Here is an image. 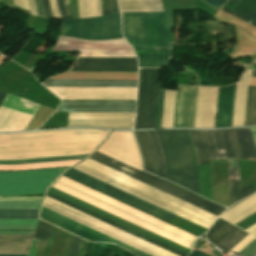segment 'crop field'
Instances as JSON below:
<instances>
[{"label":"crop field","instance_id":"crop-field-1","mask_svg":"<svg viewBox=\"0 0 256 256\" xmlns=\"http://www.w3.org/2000/svg\"><path fill=\"white\" fill-rule=\"evenodd\" d=\"M171 12L123 13L125 39L134 48L139 67L167 66Z\"/></svg>","mask_w":256,"mask_h":256},{"label":"crop field","instance_id":"crop-field-2","mask_svg":"<svg viewBox=\"0 0 256 256\" xmlns=\"http://www.w3.org/2000/svg\"><path fill=\"white\" fill-rule=\"evenodd\" d=\"M74 168L159 206L206 229L217 216L153 188L90 158Z\"/></svg>","mask_w":256,"mask_h":256},{"label":"crop field","instance_id":"crop-field-3","mask_svg":"<svg viewBox=\"0 0 256 256\" xmlns=\"http://www.w3.org/2000/svg\"><path fill=\"white\" fill-rule=\"evenodd\" d=\"M198 86L178 85L176 91L166 90L162 128H194ZM218 87H200L195 128H214Z\"/></svg>","mask_w":256,"mask_h":256},{"label":"crop field","instance_id":"crop-field-4","mask_svg":"<svg viewBox=\"0 0 256 256\" xmlns=\"http://www.w3.org/2000/svg\"><path fill=\"white\" fill-rule=\"evenodd\" d=\"M46 195L51 197V198H53V199H55V200H58V201H60V202H62L64 204H66V205H69V206H71V207H73V208H75L77 210H80V211H82V212H84L86 214H89V215H91V216H93V217H95L97 219H100V220H102V221H104V222H106L108 224H111V225H113V226H115V227H117L119 229H122V230H124V231H126V232H128L130 234H133V235H135V236H137V237H139L141 239H144V240H146V241H148L150 243H153V244H155V245H157V246H159L161 248H164V249H166V250H168V251H170L172 253H175V254H177L179 256H187V254H185V253H183V252H181L179 250H176V249H174V248H172V247H170L168 245H165V244H163V243H161V242H159L157 240H154V239H152V238H150V237H148L146 235H143V234H141V233H139V232H137L135 230H132V229H130V228L124 226V225H121V224H119V223H117L115 221H112V220H110V219H108V218H106L104 216H101V215H99V214H97V213H95L93 211H90V210H88V209H86V208H84L82 206H79V205H77V204H75V203H73L71 201H68V200H66V199H64V198H62L60 196H57V195H55V194H53V193H51L49 191L47 192ZM47 196L45 197V200H44L43 203L48 205V206H50V207H52V208H55V209H57V210H59V211H61L63 213H66V214H68V215H70V216H72L74 218H77V219H79V220H81V221H83V222H85L87 224H90V225H92V226H94V227H96L98 229H101V230H103V231H105V232H107L109 234H112V235H114V236H116V237H118L120 239H123V240H125V241H127V242H129L131 244H134V245H136V246H138V247H140L142 249H145V250H147V251H149V252H151V253H153L155 255H158V256H177V255L172 254V253H170V252H168V251H166L164 249H161V248H159V247H157V246H155L153 244H150V243H148V242H146L144 240H141V239H139V238H137V237H135L133 235H130V234H128V233H126V232H124L122 230H119V229H117V228H115V227H113L111 225H108V224H106V223H104V222H102L100 220H97V219H95V218H93V217H91L89 215H86V214H84V213H82L80 211H77V210L69 207V206H66V205H64V204H62V203H60L58 201H55V200H53V199H51V198H49ZM44 204H43L44 207H46V208H48V209H50L52 211H55V212H57V213H59L61 215H64V216H66V217H68V218H70L72 220H75V221H77V222H79V223H81L83 225H86V226H88V227H90L92 229H95V230H97V231H99V232H101L103 234H106V235H108V236H110V237H112L114 239H117V240H119V241H121V242H123L125 244H128V245H130V246H132L134 248H137V249H139V250H141V251H143L145 253H148V254H150L152 256H155V255H153V254H151V253H149L147 251H144V250H142V249H140V248H138V247H136L134 245H131V244H129V243L123 241V240H120V239H118V238H116V237H114L112 235H109V234H107V233H105V232H103L101 230H98V229H96V228H94V227H92L90 225H87V224H85V223H83V222H81L79 220H76V219H74V218H72V217H70V216H68L66 214H63V213H61V212H59V211H57L55 209H52V208H50V207H48V206H46Z\"/></svg>","mask_w":256,"mask_h":256},{"label":"crop field","instance_id":"crop-field-5","mask_svg":"<svg viewBox=\"0 0 256 256\" xmlns=\"http://www.w3.org/2000/svg\"><path fill=\"white\" fill-rule=\"evenodd\" d=\"M156 132L165 158L166 179L198 194L196 157L188 131Z\"/></svg>","mask_w":256,"mask_h":256},{"label":"crop field","instance_id":"crop-field-6","mask_svg":"<svg viewBox=\"0 0 256 256\" xmlns=\"http://www.w3.org/2000/svg\"><path fill=\"white\" fill-rule=\"evenodd\" d=\"M210 160L256 157L250 129L203 131Z\"/></svg>","mask_w":256,"mask_h":256},{"label":"crop field","instance_id":"crop-field-7","mask_svg":"<svg viewBox=\"0 0 256 256\" xmlns=\"http://www.w3.org/2000/svg\"><path fill=\"white\" fill-rule=\"evenodd\" d=\"M61 35L89 40L123 38L120 29V14L115 13L98 18L63 21Z\"/></svg>","mask_w":256,"mask_h":256},{"label":"crop field","instance_id":"crop-field-8","mask_svg":"<svg viewBox=\"0 0 256 256\" xmlns=\"http://www.w3.org/2000/svg\"><path fill=\"white\" fill-rule=\"evenodd\" d=\"M64 169L0 172V195L43 193L47 185Z\"/></svg>","mask_w":256,"mask_h":256},{"label":"crop field","instance_id":"crop-field-9","mask_svg":"<svg viewBox=\"0 0 256 256\" xmlns=\"http://www.w3.org/2000/svg\"><path fill=\"white\" fill-rule=\"evenodd\" d=\"M90 158L98 162H101L109 167H112L120 172H123L131 177H134L142 182H145L151 186H154L162 191H165L173 196H176L184 201H187L195 206H198L206 211H209L217 216H219L224 211V209L220 207L205 202L206 200L203 201L204 199L201 200L161 180H158L144 172H141L133 167H130L122 162H119L109 156H106L98 151H96Z\"/></svg>","mask_w":256,"mask_h":256},{"label":"crop field","instance_id":"crop-field-10","mask_svg":"<svg viewBox=\"0 0 256 256\" xmlns=\"http://www.w3.org/2000/svg\"><path fill=\"white\" fill-rule=\"evenodd\" d=\"M159 69H141L135 129L154 128Z\"/></svg>","mask_w":256,"mask_h":256},{"label":"crop field","instance_id":"crop-field-11","mask_svg":"<svg viewBox=\"0 0 256 256\" xmlns=\"http://www.w3.org/2000/svg\"><path fill=\"white\" fill-rule=\"evenodd\" d=\"M64 175L73 178L81 183H84L90 187H93L99 191H102L110 196H113L119 200H122L130 205H133L139 209H142L148 213H151L159 218H162L168 222H170L175 215L162 210L152 204H149L139 198H136L126 192H123L113 186H110L100 180H97L87 174H84L74 168L70 169L68 172H66Z\"/></svg>","mask_w":256,"mask_h":256},{"label":"crop field","instance_id":"crop-field-12","mask_svg":"<svg viewBox=\"0 0 256 256\" xmlns=\"http://www.w3.org/2000/svg\"><path fill=\"white\" fill-rule=\"evenodd\" d=\"M134 113L69 112L68 127L132 129Z\"/></svg>","mask_w":256,"mask_h":256},{"label":"crop field","instance_id":"crop-field-13","mask_svg":"<svg viewBox=\"0 0 256 256\" xmlns=\"http://www.w3.org/2000/svg\"><path fill=\"white\" fill-rule=\"evenodd\" d=\"M98 151L142 171L139 152L131 132H112Z\"/></svg>","mask_w":256,"mask_h":256},{"label":"crop field","instance_id":"crop-field-14","mask_svg":"<svg viewBox=\"0 0 256 256\" xmlns=\"http://www.w3.org/2000/svg\"><path fill=\"white\" fill-rule=\"evenodd\" d=\"M61 99L135 100L136 89L47 87Z\"/></svg>","mask_w":256,"mask_h":256},{"label":"crop field","instance_id":"crop-field-15","mask_svg":"<svg viewBox=\"0 0 256 256\" xmlns=\"http://www.w3.org/2000/svg\"><path fill=\"white\" fill-rule=\"evenodd\" d=\"M40 218L51 222L57 226H60L66 230H69L75 234H78L82 237H85L91 241H98V242H108V243H114L118 246H121L127 250H130L134 253H137L141 256H150L148 254H145L137 249H134L128 245H125L117 240H114L106 235H103L95 230H92L86 226H83L75 221H72L64 216H61L55 212H52L44 207L41 209Z\"/></svg>","mask_w":256,"mask_h":256},{"label":"crop field","instance_id":"crop-field-16","mask_svg":"<svg viewBox=\"0 0 256 256\" xmlns=\"http://www.w3.org/2000/svg\"><path fill=\"white\" fill-rule=\"evenodd\" d=\"M77 70L137 71L136 57L87 56Z\"/></svg>","mask_w":256,"mask_h":256},{"label":"crop field","instance_id":"crop-field-17","mask_svg":"<svg viewBox=\"0 0 256 256\" xmlns=\"http://www.w3.org/2000/svg\"><path fill=\"white\" fill-rule=\"evenodd\" d=\"M57 111L134 112L135 102L62 101Z\"/></svg>","mask_w":256,"mask_h":256},{"label":"crop field","instance_id":"crop-field-18","mask_svg":"<svg viewBox=\"0 0 256 256\" xmlns=\"http://www.w3.org/2000/svg\"><path fill=\"white\" fill-rule=\"evenodd\" d=\"M236 228L237 227L233 226L232 224L222 219L212 229L208 231L207 239L208 241H210L211 243L217 246ZM247 235L248 233L237 228L217 247L228 252L232 247H234L239 241H241Z\"/></svg>","mask_w":256,"mask_h":256},{"label":"crop field","instance_id":"crop-field-19","mask_svg":"<svg viewBox=\"0 0 256 256\" xmlns=\"http://www.w3.org/2000/svg\"><path fill=\"white\" fill-rule=\"evenodd\" d=\"M32 232H0V234H31ZM32 235H0V251H28ZM28 252H0V256H27Z\"/></svg>","mask_w":256,"mask_h":256},{"label":"crop field","instance_id":"crop-field-20","mask_svg":"<svg viewBox=\"0 0 256 256\" xmlns=\"http://www.w3.org/2000/svg\"><path fill=\"white\" fill-rule=\"evenodd\" d=\"M236 84L221 87L216 128L231 127Z\"/></svg>","mask_w":256,"mask_h":256},{"label":"crop field","instance_id":"crop-field-21","mask_svg":"<svg viewBox=\"0 0 256 256\" xmlns=\"http://www.w3.org/2000/svg\"><path fill=\"white\" fill-rule=\"evenodd\" d=\"M32 115L1 105L0 131L24 130Z\"/></svg>","mask_w":256,"mask_h":256},{"label":"crop field","instance_id":"crop-field-22","mask_svg":"<svg viewBox=\"0 0 256 256\" xmlns=\"http://www.w3.org/2000/svg\"><path fill=\"white\" fill-rule=\"evenodd\" d=\"M45 86L136 88L137 81L49 80Z\"/></svg>","mask_w":256,"mask_h":256},{"label":"crop field","instance_id":"crop-field-23","mask_svg":"<svg viewBox=\"0 0 256 256\" xmlns=\"http://www.w3.org/2000/svg\"><path fill=\"white\" fill-rule=\"evenodd\" d=\"M252 71H246L237 82L232 127L243 126L248 84Z\"/></svg>","mask_w":256,"mask_h":256},{"label":"crop field","instance_id":"crop-field-24","mask_svg":"<svg viewBox=\"0 0 256 256\" xmlns=\"http://www.w3.org/2000/svg\"><path fill=\"white\" fill-rule=\"evenodd\" d=\"M222 10L256 26V0H229Z\"/></svg>","mask_w":256,"mask_h":256},{"label":"crop field","instance_id":"crop-field-25","mask_svg":"<svg viewBox=\"0 0 256 256\" xmlns=\"http://www.w3.org/2000/svg\"><path fill=\"white\" fill-rule=\"evenodd\" d=\"M121 12L164 11L160 0H118Z\"/></svg>","mask_w":256,"mask_h":256},{"label":"crop field","instance_id":"crop-field-26","mask_svg":"<svg viewBox=\"0 0 256 256\" xmlns=\"http://www.w3.org/2000/svg\"><path fill=\"white\" fill-rule=\"evenodd\" d=\"M230 205L240 200L238 160L228 159Z\"/></svg>","mask_w":256,"mask_h":256},{"label":"crop field","instance_id":"crop-field-27","mask_svg":"<svg viewBox=\"0 0 256 256\" xmlns=\"http://www.w3.org/2000/svg\"><path fill=\"white\" fill-rule=\"evenodd\" d=\"M38 219H0V230H35Z\"/></svg>","mask_w":256,"mask_h":256},{"label":"crop field","instance_id":"crop-field-28","mask_svg":"<svg viewBox=\"0 0 256 256\" xmlns=\"http://www.w3.org/2000/svg\"><path fill=\"white\" fill-rule=\"evenodd\" d=\"M155 158L156 175L165 179L164 158L155 131H147Z\"/></svg>","mask_w":256,"mask_h":256},{"label":"crop field","instance_id":"crop-field-29","mask_svg":"<svg viewBox=\"0 0 256 256\" xmlns=\"http://www.w3.org/2000/svg\"><path fill=\"white\" fill-rule=\"evenodd\" d=\"M140 146L145 158V170L155 174V168H154V158L152 154V150L150 147V143L148 140L147 132L146 131H140L136 132Z\"/></svg>","mask_w":256,"mask_h":256},{"label":"crop field","instance_id":"crop-field-30","mask_svg":"<svg viewBox=\"0 0 256 256\" xmlns=\"http://www.w3.org/2000/svg\"><path fill=\"white\" fill-rule=\"evenodd\" d=\"M256 123V86H249L244 126Z\"/></svg>","mask_w":256,"mask_h":256},{"label":"crop field","instance_id":"crop-field-31","mask_svg":"<svg viewBox=\"0 0 256 256\" xmlns=\"http://www.w3.org/2000/svg\"><path fill=\"white\" fill-rule=\"evenodd\" d=\"M190 131L198 157V165L210 163L202 132L194 130Z\"/></svg>","mask_w":256,"mask_h":256},{"label":"crop field","instance_id":"crop-field-32","mask_svg":"<svg viewBox=\"0 0 256 256\" xmlns=\"http://www.w3.org/2000/svg\"><path fill=\"white\" fill-rule=\"evenodd\" d=\"M0 218H38V209H0Z\"/></svg>","mask_w":256,"mask_h":256},{"label":"crop field","instance_id":"crop-field-33","mask_svg":"<svg viewBox=\"0 0 256 256\" xmlns=\"http://www.w3.org/2000/svg\"><path fill=\"white\" fill-rule=\"evenodd\" d=\"M254 238L255 237H253L252 235L249 234L239 244H237L231 251L238 253L241 249H243ZM255 252H256V238L252 242H250L239 253L242 254V256H254Z\"/></svg>","mask_w":256,"mask_h":256},{"label":"crop field","instance_id":"crop-field-34","mask_svg":"<svg viewBox=\"0 0 256 256\" xmlns=\"http://www.w3.org/2000/svg\"><path fill=\"white\" fill-rule=\"evenodd\" d=\"M246 200V199H245ZM256 204V194L247 199L246 201L238 204L237 206L231 208L229 211L221 215L222 218L228 220L233 216L239 214L240 212L244 211L245 209L251 207L252 205Z\"/></svg>","mask_w":256,"mask_h":256},{"label":"crop field","instance_id":"crop-field-35","mask_svg":"<svg viewBox=\"0 0 256 256\" xmlns=\"http://www.w3.org/2000/svg\"><path fill=\"white\" fill-rule=\"evenodd\" d=\"M83 156H70V157H58V158H45V159H32V160H20V161H0V164H21V163H35V162H48V161H61V160H75L82 159Z\"/></svg>","mask_w":256,"mask_h":256},{"label":"crop field","instance_id":"crop-field-36","mask_svg":"<svg viewBox=\"0 0 256 256\" xmlns=\"http://www.w3.org/2000/svg\"><path fill=\"white\" fill-rule=\"evenodd\" d=\"M87 17L101 16L100 0H86Z\"/></svg>","mask_w":256,"mask_h":256},{"label":"crop field","instance_id":"crop-field-37","mask_svg":"<svg viewBox=\"0 0 256 256\" xmlns=\"http://www.w3.org/2000/svg\"><path fill=\"white\" fill-rule=\"evenodd\" d=\"M40 202H0V208H38Z\"/></svg>","mask_w":256,"mask_h":256},{"label":"crop field","instance_id":"crop-field-38","mask_svg":"<svg viewBox=\"0 0 256 256\" xmlns=\"http://www.w3.org/2000/svg\"><path fill=\"white\" fill-rule=\"evenodd\" d=\"M51 227H52L51 225L39 220L38 227H37L34 238L42 239V240L47 241L48 237H49Z\"/></svg>","mask_w":256,"mask_h":256},{"label":"crop field","instance_id":"crop-field-39","mask_svg":"<svg viewBox=\"0 0 256 256\" xmlns=\"http://www.w3.org/2000/svg\"><path fill=\"white\" fill-rule=\"evenodd\" d=\"M165 90L160 89L156 128H161Z\"/></svg>","mask_w":256,"mask_h":256},{"label":"crop field","instance_id":"crop-field-40","mask_svg":"<svg viewBox=\"0 0 256 256\" xmlns=\"http://www.w3.org/2000/svg\"><path fill=\"white\" fill-rule=\"evenodd\" d=\"M255 212H256V205L252 206L251 208L247 209L246 211L240 213L239 215L235 216L234 218H232L228 221L235 224Z\"/></svg>","mask_w":256,"mask_h":256},{"label":"crop field","instance_id":"crop-field-41","mask_svg":"<svg viewBox=\"0 0 256 256\" xmlns=\"http://www.w3.org/2000/svg\"><path fill=\"white\" fill-rule=\"evenodd\" d=\"M82 239L78 238V237H74L70 252L68 256H78L80 248H81V244H82Z\"/></svg>","mask_w":256,"mask_h":256},{"label":"crop field","instance_id":"crop-field-42","mask_svg":"<svg viewBox=\"0 0 256 256\" xmlns=\"http://www.w3.org/2000/svg\"><path fill=\"white\" fill-rule=\"evenodd\" d=\"M42 197H0V201H40Z\"/></svg>","mask_w":256,"mask_h":256},{"label":"crop field","instance_id":"crop-field-43","mask_svg":"<svg viewBox=\"0 0 256 256\" xmlns=\"http://www.w3.org/2000/svg\"><path fill=\"white\" fill-rule=\"evenodd\" d=\"M89 49L83 48L80 55L78 56L77 60L72 64L70 70H74L77 69L78 66L81 64V62L85 59L87 53H88Z\"/></svg>","mask_w":256,"mask_h":256},{"label":"crop field","instance_id":"crop-field-44","mask_svg":"<svg viewBox=\"0 0 256 256\" xmlns=\"http://www.w3.org/2000/svg\"><path fill=\"white\" fill-rule=\"evenodd\" d=\"M212 8L217 9L221 5H223L227 0H201Z\"/></svg>","mask_w":256,"mask_h":256},{"label":"crop field","instance_id":"crop-field-45","mask_svg":"<svg viewBox=\"0 0 256 256\" xmlns=\"http://www.w3.org/2000/svg\"><path fill=\"white\" fill-rule=\"evenodd\" d=\"M254 193L253 186H241V199Z\"/></svg>","mask_w":256,"mask_h":256},{"label":"crop field","instance_id":"crop-field-46","mask_svg":"<svg viewBox=\"0 0 256 256\" xmlns=\"http://www.w3.org/2000/svg\"><path fill=\"white\" fill-rule=\"evenodd\" d=\"M52 14L54 19L62 20L56 6V0H50Z\"/></svg>","mask_w":256,"mask_h":256},{"label":"crop field","instance_id":"crop-field-47","mask_svg":"<svg viewBox=\"0 0 256 256\" xmlns=\"http://www.w3.org/2000/svg\"><path fill=\"white\" fill-rule=\"evenodd\" d=\"M42 2H43L44 9H45L46 17L49 18V19H53L52 14H51L49 1L48 0H42Z\"/></svg>","mask_w":256,"mask_h":256},{"label":"crop field","instance_id":"crop-field-48","mask_svg":"<svg viewBox=\"0 0 256 256\" xmlns=\"http://www.w3.org/2000/svg\"><path fill=\"white\" fill-rule=\"evenodd\" d=\"M101 4H102V16L109 14L110 13L109 0H101Z\"/></svg>","mask_w":256,"mask_h":256},{"label":"crop field","instance_id":"crop-field-49","mask_svg":"<svg viewBox=\"0 0 256 256\" xmlns=\"http://www.w3.org/2000/svg\"><path fill=\"white\" fill-rule=\"evenodd\" d=\"M78 1H79V15L80 17H86L85 0H78Z\"/></svg>","mask_w":256,"mask_h":256},{"label":"crop field","instance_id":"crop-field-50","mask_svg":"<svg viewBox=\"0 0 256 256\" xmlns=\"http://www.w3.org/2000/svg\"><path fill=\"white\" fill-rule=\"evenodd\" d=\"M64 3H65V8H66V13H67L68 19L74 18L73 13H72V9H71V6H70V1L69 0H64Z\"/></svg>","mask_w":256,"mask_h":256},{"label":"crop field","instance_id":"crop-field-51","mask_svg":"<svg viewBox=\"0 0 256 256\" xmlns=\"http://www.w3.org/2000/svg\"><path fill=\"white\" fill-rule=\"evenodd\" d=\"M57 5L59 7L62 19L63 20L67 19L65 9H64V6H63V0H57Z\"/></svg>","mask_w":256,"mask_h":256},{"label":"crop field","instance_id":"crop-field-52","mask_svg":"<svg viewBox=\"0 0 256 256\" xmlns=\"http://www.w3.org/2000/svg\"><path fill=\"white\" fill-rule=\"evenodd\" d=\"M35 2H36V6H37V10H38L39 16L45 17V13H44V10H43V6H42L41 0H35Z\"/></svg>","mask_w":256,"mask_h":256},{"label":"crop field","instance_id":"crop-field-53","mask_svg":"<svg viewBox=\"0 0 256 256\" xmlns=\"http://www.w3.org/2000/svg\"><path fill=\"white\" fill-rule=\"evenodd\" d=\"M111 13L119 12L116 0H110Z\"/></svg>","mask_w":256,"mask_h":256},{"label":"crop field","instance_id":"crop-field-54","mask_svg":"<svg viewBox=\"0 0 256 256\" xmlns=\"http://www.w3.org/2000/svg\"><path fill=\"white\" fill-rule=\"evenodd\" d=\"M28 2H29L30 13L33 14V15H37L34 0H28Z\"/></svg>","mask_w":256,"mask_h":256},{"label":"crop field","instance_id":"crop-field-55","mask_svg":"<svg viewBox=\"0 0 256 256\" xmlns=\"http://www.w3.org/2000/svg\"><path fill=\"white\" fill-rule=\"evenodd\" d=\"M190 256H207V254L195 249L194 252Z\"/></svg>","mask_w":256,"mask_h":256},{"label":"crop field","instance_id":"crop-field-56","mask_svg":"<svg viewBox=\"0 0 256 256\" xmlns=\"http://www.w3.org/2000/svg\"><path fill=\"white\" fill-rule=\"evenodd\" d=\"M250 129H251L252 136H253V139H254V142H255V146H256V128H250Z\"/></svg>","mask_w":256,"mask_h":256},{"label":"crop field","instance_id":"crop-field-57","mask_svg":"<svg viewBox=\"0 0 256 256\" xmlns=\"http://www.w3.org/2000/svg\"><path fill=\"white\" fill-rule=\"evenodd\" d=\"M22 1V6L24 9H28V4H27V0H21ZM29 10V9H28Z\"/></svg>","mask_w":256,"mask_h":256},{"label":"crop field","instance_id":"crop-field-58","mask_svg":"<svg viewBox=\"0 0 256 256\" xmlns=\"http://www.w3.org/2000/svg\"><path fill=\"white\" fill-rule=\"evenodd\" d=\"M14 4L22 8L20 0H14Z\"/></svg>","mask_w":256,"mask_h":256},{"label":"crop field","instance_id":"crop-field-59","mask_svg":"<svg viewBox=\"0 0 256 256\" xmlns=\"http://www.w3.org/2000/svg\"><path fill=\"white\" fill-rule=\"evenodd\" d=\"M6 95V93H3V92H1L0 91V103H1V101H2V99H3V97Z\"/></svg>","mask_w":256,"mask_h":256},{"label":"crop field","instance_id":"crop-field-60","mask_svg":"<svg viewBox=\"0 0 256 256\" xmlns=\"http://www.w3.org/2000/svg\"><path fill=\"white\" fill-rule=\"evenodd\" d=\"M60 177H61V176H60ZM60 177H59V178H60ZM59 178H58V179H59ZM58 179H57L56 181H58ZM191 245H192V244H191ZM190 249H191V247H190Z\"/></svg>","mask_w":256,"mask_h":256}]
</instances>
